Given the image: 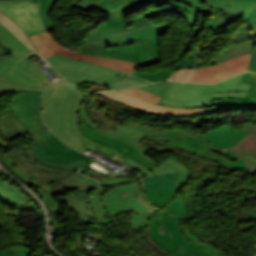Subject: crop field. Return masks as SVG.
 Returning a JSON list of instances; mask_svg holds the SVG:
<instances>
[{
    "label": "crop field",
    "instance_id": "crop-field-72",
    "mask_svg": "<svg viewBox=\"0 0 256 256\" xmlns=\"http://www.w3.org/2000/svg\"><path fill=\"white\" fill-rule=\"evenodd\" d=\"M255 41H256V38H255Z\"/></svg>",
    "mask_w": 256,
    "mask_h": 256
},
{
    "label": "crop field",
    "instance_id": "crop-field-20",
    "mask_svg": "<svg viewBox=\"0 0 256 256\" xmlns=\"http://www.w3.org/2000/svg\"><path fill=\"white\" fill-rule=\"evenodd\" d=\"M0 43L5 46L12 55L5 56L0 60V76L5 74L9 64L18 56L31 51L16 36H14L3 24L0 23Z\"/></svg>",
    "mask_w": 256,
    "mask_h": 256
},
{
    "label": "crop field",
    "instance_id": "crop-field-24",
    "mask_svg": "<svg viewBox=\"0 0 256 256\" xmlns=\"http://www.w3.org/2000/svg\"><path fill=\"white\" fill-rule=\"evenodd\" d=\"M0 200L8 206H19L28 204L27 196L19 189L4 181H0Z\"/></svg>",
    "mask_w": 256,
    "mask_h": 256
},
{
    "label": "crop field",
    "instance_id": "crop-field-51",
    "mask_svg": "<svg viewBox=\"0 0 256 256\" xmlns=\"http://www.w3.org/2000/svg\"><path fill=\"white\" fill-rule=\"evenodd\" d=\"M152 171L154 172L155 176L177 174V172L174 169H172L170 166L166 164L159 168L156 167Z\"/></svg>",
    "mask_w": 256,
    "mask_h": 256
},
{
    "label": "crop field",
    "instance_id": "crop-field-37",
    "mask_svg": "<svg viewBox=\"0 0 256 256\" xmlns=\"http://www.w3.org/2000/svg\"><path fill=\"white\" fill-rule=\"evenodd\" d=\"M0 21L4 23L9 29H11L27 45H29L31 48H33L36 51L32 43L30 42V40L27 38V36L24 34V32L21 30V28L18 26L16 22H14L12 19H10L8 16L4 15L1 12H0Z\"/></svg>",
    "mask_w": 256,
    "mask_h": 256
},
{
    "label": "crop field",
    "instance_id": "crop-field-14",
    "mask_svg": "<svg viewBox=\"0 0 256 256\" xmlns=\"http://www.w3.org/2000/svg\"><path fill=\"white\" fill-rule=\"evenodd\" d=\"M5 76L28 87H45L46 83L51 82L47 73L20 57L10 64Z\"/></svg>",
    "mask_w": 256,
    "mask_h": 256
},
{
    "label": "crop field",
    "instance_id": "crop-field-43",
    "mask_svg": "<svg viewBox=\"0 0 256 256\" xmlns=\"http://www.w3.org/2000/svg\"><path fill=\"white\" fill-rule=\"evenodd\" d=\"M211 11L213 12V16L211 17L210 20H212L214 22L222 23L226 26H228L229 24L234 23L240 19V18H237L227 12L219 11V10L212 9V8H211Z\"/></svg>",
    "mask_w": 256,
    "mask_h": 256
},
{
    "label": "crop field",
    "instance_id": "crop-field-3",
    "mask_svg": "<svg viewBox=\"0 0 256 256\" xmlns=\"http://www.w3.org/2000/svg\"><path fill=\"white\" fill-rule=\"evenodd\" d=\"M168 0H106L96 8L109 13V20L91 30L81 49H103L136 44L130 23L124 17L152 4L166 5Z\"/></svg>",
    "mask_w": 256,
    "mask_h": 256
},
{
    "label": "crop field",
    "instance_id": "crop-field-8",
    "mask_svg": "<svg viewBox=\"0 0 256 256\" xmlns=\"http://www.w3.org/2000/svg\"><path fill=\"white\" fill-rule=\"evenodd\" d=\"M31 148L35 157L53 167L80 168L88 160L87 155L67 147L52 132Z\"/></svg>",
    "mask_w": 256,
    "mask_h": 256
},
{
    "label": "crop field",
    "instance_id": "crop-field-56",
    "mask_svg": "<svg viewBox=\"0 0 256 256\" xmlns=\"http://www.w3.org/2000/svg\"><path fill=\"white\" fill-rule=\"evenodd\" d=\"M244 130L256 138V124L245 123Z\"/></svg>",
    "mask_w": 256,
    "mask_h": 256
},
{
    "label": "crop field",
    "instance_id": "crop-field-52",
    "mask_svg": "<svg viewBox=\"0 0 256 256\" xmlns=\"http://www.w3.org/2000/svg\"><path fill=\"white\" fill-rule=\"evenodd\" d=\"M242 81L255 84L250 97L256 98V73L246 72Z\"/></svg>",
    "mask_w": 256,
    "mask_h": 256
},
{
    "label": "crop field",
    "instance_id": "crop-field-53",
    "mask_svg": "<svg viewBox=\"0 0 256 256\" xmlns=\"http://www.w3.org/2000/svg\"><path fill=\"white\" fill-rule=\"evenodd\" d=\"M131 75L139 77V78H142V79H145V80H148V81H151V82H155V83L163 81L162 79L154 76L153 74H150V73H140L137 70L134 73H132Z\"/></svg>",
    "mask_w": 256,
    "mask_h": 256
},
{
    "label": "crop field",
    "instance_id": "crop-field-36",
    "mask_svg": "<svg viewBox=\"0 0 256 256\" xmlns=\"http://www.w3.org/2000/svg\"><path fill=\"white\" fill-rule=\"evenodd\" d=\"M172 11L183 15L188 21L190 26L194 25L197 19V16L199 14L197 11H195L191 7L185 4L177 3V2H174Z\"/></svg>",
    "mask_w": 256,
    "mask_h": 256
},
{
    "label": "crop field",
    "instance_id": "crop-field-33",
    "mask_svg": "<svg viewBox=\"0 0 256 256\" xmlns=\"http://www.w3.org/2000/svg\"><path fill=\"white\" fill-rule=\"evenodd\" d=\"M242 75H238L234 78H231L229 80L223 81L218 84H195V83H185V82H175L171 81L169 86H174V87H185V88H215L219 86H224V85H229L233 83H238L241 82Z\"/></svg>",
    "mask_w": 256,
    "mask_h": 256
},
{
    "label": "crop field",
    "instance_id": "crop-field-35",
    "mask_svg": "<svg viewBox=\"0 0 256 256\" xmlns=\"http://www.w3.org/2000/svg\"><path fill=\"white\" fill-rule=\"evenodd\" d=\"M45 88H28L8 81L4 76L0 77L1 92H30L44 90Z\"/></svg>",
    "mask_w": 256,
    "mask_h": 256
},
{
    "label": "crop field",
    "instance_id": "crop-field-65",
    "mask_svg": "<svg viewBox=\"0 0 256 256\" xmlns=\"http://www.w3.org/2000/svg\"><path fill=\"white\" fill-rule=\"evenodd\" d=\"M4 55H6V53H5L4 51H0V59H1Z\"/></svg>",
    "mask_w": 256,
    "mask_h": 256
},
{
    "label": "crop field",
    "instance_id": "crop-field-18",
    "mask_svg": "<svg viewBox=\"0 0 256 256\" xmlns=\"http://www.w3.org/2000/svg\"><path fill=\"white\" fill-rule=\"evenodd\" d=\"M80 124H81L82 134H84L85 136L129 156L130 158L145 165L150 170L159 164V163L155 162L154 160L150 159L147 155L138 152L137 150L133 149L132 147H130L122 142H119L117 140L111 139L109 137H106L104 135L94 132L93 130L89 129L82 122L81 119H80Z\"/></svg>",
    "mask_w": 256,
    "mask_h": 256
},
{
    "label": "crop field",
    "instance_id": "crop-field-34",
    "mask_svg": "<svg viewBox=\"0 0 256 256\" xmlns=\"http://www.w3.org/2000/svg\"><path fill=\"white\" fill-rule=\"evenodd\" d=\"M181 228L184 235L209 256H225L211 245L203 243L200 238L196 237L191 232L187 231L184 227L181 226Z\"/></svg>",
    "mask_w": 256,
    "mask_h": 256
},
{
    "label": "crop field",
    "instance_id": "crop-field-29",
    "mask_svg": "<svg viewBox=\"0 0 256 256\" xmlns=\"http://www.w3.org/2000/svg\"><path fill=\"white\" fill-rule=\"evenodd\" d=\"M210 7L217 8L223 11L230 12L241 19H245L246 16L249 15L251 10L253 9L252 7H247V6H242V5H237L221 0H208Z\"/></svg>",
    "mask_w": 256,
    "mask_h": 256
},
{
    "label": "crop field",
    "instance_id": "crop-field-31",
    "mask_svg": "<svg viewBox=\"0 0 256 256\" xmlns=\"http://www.w3.org/2000/svg\"><path fill=\"white\" fill-rule=\"evenodd\" d=\"M247 19H249L248 23L243 25L241 28H239L235 36L232 37L235 43L241 42L247 39H254V37H256V17L248 16L245 20Z\"/></svg>",
    "mask_w": 256,
    "mask_h": 256
},
{
    "label": "crop field",
    "instance_id": "crop-field-25",
    "mask_svg": "<svg viewBox=\"0 0 256 256\" xmlns=\"http://www.w3.org/2000/svg\"><path fill=\"white\" fill-rule=\"evenodd\" d=\"M41 93L42 91L30 92L17 102V105L19 106L21 112L29 120L36 121V119L40 118L41 116L38 105Z\"/></svg>",
    "mask_w": 256,
    "mask_h": 256
},
{
    "label": "crop field",
    "instance_id": "crop-field-4",
    "mask_svg": "<svg viewBox=\"0 0 256 256\" xmlns=\"http://www.w3.org/2000/svg\"><path fill=\"white\" fill-rule=\"evenodd\" d=\"M8 166L11 168L13 172H15L13 168V164L11 161H7ZM74 171V169H73ZM17 172V171H16ZM24 180H26L31 187L40 194L42 199L45 201L49 212L50 219L55 218V216H60L63 213L61 206L59 203L52 197L54 195L66 193L64 189L68 190H76L75 194L67 195L63 197L57 198L61 202H67L68 207L70 209H74L76 214L78 215L81 222L86 224L92 223L89 211L86 206V196L91 193L95 188L99 186L98 182L94 179L86 177L84 175H77L74 172L66 174L62 179V186H58L57 189H53V186L44 187L38 182L22 175L17 172Z\"/></svg>",
    "mask_w": 256,
    "mask_h": 256
},
{
    "label": "crop field",
    "instance_id": "crop-field-42",
    "mask_svg": "<svg viewBox=\"0 0 256 256\" xmlns=\"http://www.w3.org/2000/svg\"><path fill=\"white\" fill-rule=\"evenodd\" d=\"M27 93H20L18 94L17 96H15L13 98V100L11 101V104H10V108L11 110L15 113V115L19 118V120L24 124L26 125L30 130L34 129L37 125L36 122H33V121H29L27 120L23 114L20 112L18 106L16 105V102L21 98L23 97L24 95H26Z\"/></svg>",
    "mask_w": 256,
    "mask_h": 256
},
{
    "label": "crop field",
    "instance_id": "crop-field-47",
    "mask_svg": "<svg viewBox=\"0 0 256 256\" xmlns=\"http://www.w3.org/2000/svg\"><path fill=\"white\" fill-rule=\"evenodd\" d=\"M31 41L34 43L36 46L37 50L39 51L40 55L43 56L44 58H48L51 55L55 54L54 52L50 51L38 38L37 35L30 36L29 37Z\"/></svg>",
    "mask_w": 256,
    "mask_h": 256
},
{
    "label": "crop field",
    "instance_id": "crop-field-62",
    "mask_svg": "<svg viewBox=\"0 0 256 256\" xmlns=\"http://www.w3.org/2000/svg\"><path fill=\"white\" fill-rule=\"evenodd\" d=\"M200 13H202V14H210L207 3H204V4L201 6V8H200Z\"/></svg>",
    "mask_w": 256,
    "mask_h": 256
},
{
    "label": "crop field",
    "instance_id": "crop-field-27",
    "mask_svg": "<svg viewBox=\"0 0 256 256\" xmlns=\"http://www.w3.org/2000/svg\"><path fill=\"white\" fill-rule=\"evenodd\" d=\"M252 47H253V40H247L241 43H237L232 47H230V49L224 50L220 54V56L214 59L213 61H211L208 66H211L212 64L220 63L222 61L228 60L230 58H233L235 56H238L247 52H252ZM201 67H205V65Z\"/></svg>",
    "mask_w": 256,
    "mask_h": 256
},
{
    "label": "crop field",
    "instance_id": "crop-field-21",
    "mask_svg": "<svg viewBox=\"0 0 256 256\" xmlns=\"http://www.w3.org/2000/svg\"><path fill=\"white\" fill-rule=\"evenodd\" d=\"M246 132L244 130L232 129L231 125H224L216 130H210L206 134H197L201 138L218 145L222 148L229 149L234 145Z\"/></svg>",
    "mask_w": 256,
    "mask_h": 256
},
{
    "label": "crop field",
    "instance_id": "crop-field-59",
    "mask_svg": "<svg viewBox=\"0 0 256 256\" xmlns=\"http://www.w3.org/2000/svg\"><path fill=\"white\" fill-rule=\"evenodd\" d=\"M88 86H89L88 90L90 93H93L96 91H105V89L102 86L97 84H89Z\"/></svg>",
    "mask_w": 256,
    "mask_h": 256
},
{
    "label": "crop field",
    "instance_id": "crop-field-7",
    "mask_svg": "<svg viewBox=\"0 0 256 256\" xmlns=\"http://www.w3.org/2000/svg\"><path fill=\"white\" fill-rule=\"evenodd\" d=\"M47 61L72 84L96 82L108 86L113 81L127 75L105 67L65 58L58 54L48 58Z\"/></svg>",
    "mask_w": 256,
    "mask_h": 256
},
{
    "label": "crop field",
    "instance_id": "crop-field-44",
    "mask_svg": "<svg viewBox=\"0 0 256 256\" xmlns=\"http://www.w3.org/2000/svg\"><path fill=\"white\" fill-rule=\"evenodd\" d=\"M169 256H208L204 252H202L197 246H195L192 242L181 247L179 250L174 252Z\"/></svg>",
    "mask_w": 256,
    "mask_h": 256
},
{
    "label": "crop field",
    "instance_id": "crop-field-61",
    "mask_svg": "<svg viewBox=\"0 0 256 256\" xmlns=\"http://www.w3.org/2000/svg\"><path fill=\"white\" fill-rule=\"evenodd\" d=\"M210 27H211L214 31H218V30L224 28L225 26L210 21Z\"/></svg>",
    "mask_w": 256,
    "mask_h": 256
},
{
    "label": "crop field",
    "instance_id": "crop-field-11",
    "mask_svg": "<svg viewBox=\"0 0 256 256\" xmlns=\"http://www.w3.org/2000/svg\"><path fill=\"white\" fill-rule=\"evenodd\" d=\"M0 11L15 20L26 35L44 32L39 0H3Z\"/></svg>",
    "mask_w": 256,
    "mask_h": 256
},
{
    "label": "crop field",
    "instance_id": "crop-field-40",
    "mask_svg": "<svg viewBox=\"0 0 256 256\" xmlns=\"http://www.w3.org/2000/svg\"><path fill=\"white\" fill-rule=\"evenodd\" d=\"M205 157L211 158V159L217 161L218 163H220L221 165L225 166L228 169H243V168H245L246 170H248L247 166L240 158L235 163H232V162H229V161L223 159L222 156H220L214 152H210V151H208V153L206 154Z\"/></svg>",
    "mask_w": 256,
    "mask_h": 256
},
{
    "label": "crop field",
    "instance_id": "crop-field-63",
    "mask_svg": "<svg viewBox=\"0 0 256 256\" xmlns=\"http://www.w3.org/2000/svg\"><path fill=\"white\" fill-rule=\"evenodd\" d=\"M35 55H38V54H36V53H34L33 51H31V52H29V53H27V54H25V55H23V56H21V57H23V58H25V59H28V58H30V57H32V56H35Z\"/></svg>",
    "mask_w": 256,
    "mask_h": 256
},
{
    "label": "crop field",
    "instance_id": "crop-field-32",
    "mask_svg": "<svg viewBox=\"0 0 256 256\" xmlns=\"http://www.w3.org/2000/svg\"><path fill=\"white\" fill-rule=\"evenodd\" d=\"M82 137L84 139V144L87 149H97L101 152H104L106 157L113 159L115 161L123 162L127 158V156L122 155V154H120L108 147H105L99 143H96V142L90 140L89 138L85 137L84 135H82Z\"/></svg>",
    "mask_w": 256,
    "mask_h": 256
},
{
    "label": "crop field",
    "instance_id": "crop-field-48",
    "mask_svg": "<svg viewBox=\"0 0 256 256\" xmlns=\"http://www.w3.org/2000/svg\"><path fill=\"white\" fill-rule=\"evenodd\" d=\"M102 1L104 0H75L72 2V6L79 7L88 12Z\"/></svg>",
    "mask_w": 256,
    "mask_h": 256
},
{
    "label": "crop field",
    "instance_id": "crop-field-12",
    "mask_svg": "<svg viewBox=\"0 0 256 256\" xmlns=\"http://www.w3.org/2000/svg\"><path fill=\"white\" fill-rule=\"evenodd\" d=\"M97 94H100L108 99L115 100L121 104L144 111L147 114L159 117H188L215 112V109H183L158 106L120 91L103 92Z\"/></svg>",
    "mask_w": 256,
    "mask_h": 256
},
{
    "label": "crop field",
    "instance_id": "crop-field-73",
    "mask_svg": "<svg viewBox=\"0 0 256 256\" xmlns=\"http://www.w3.org/2000/svg\"><path fill=\"white\" fill-rule=\"evenodd\" d=\"M1 50V49H0Z\"/></svg>",
    "mask_w": 256,
    "mask_h": 256
},
{
    "label": "crop field",
    "instance_id": "crop-field-38",
    "mask_svg": "<svg viewBox=\"0 0 256 256\" xmlns=\"http://www.w3.org/2000/svg\"><path fill=\"white\" fill-rule=\"evenodd\" d=\"M55 1L56 0H40V11L46 31H51L55 29L53 23L48 16Z\"/></svg>",
    "mask_w": 256,
    "mask_h": 256
},
{
    "label": "crop field",
    "instance_id": "crop-field-23",
    "mask_svg": "<svg viewBox=\"0 0 256 256\" xmlns=\"http://www.w3.org/2000/svg\"><path fill=\"white\" fill-rule=\"evenodd\" d=\"M229 150L240 156L249 169H256V139L249 134H245Z\"/></svg>",
    "mask_w": 256,
    "mask_h": 256
},
{
    "label": "crop field",
    "instance_id": "crop-field-55",
    "mask_svg": "<svg viewBox=\"0 0 256 256\" xmlns=\"http://www.w3.org/2000/svg\"><path fill=\"white\" fill-rule=\"evenodd\" d=\"M242 5H247V6H252L256 8V0H226ZM251 16H256V9H253L252 12L250 13Z\"/></svg>",
    "mask_w": 256,
    "mask_h": 256
},
{
    "label": "crop field",
    "instance_id": "crop-field-9",
    "mask_svg": "<svg viewBox=\"0 0 256 256\" xmlns=\"http://www.w3.org/2000/svg\"><path fill=\"white\" fill-rule=\"evenodd\" d=\"M250 58L248 53L211 67L178 70L170 80L216 83L246 71Z\"/></svg>",
    "mask_w": 256,
    "mask_h": 256
},
{
    "label": "crop field",
    "instance_id": "crop-field-17",
    "mask_svg": "<svg viewBox=\"0 0 256 256\" xmlns=\"http://www.w3.org/2000/svg\"><path fill=\"white\" fill-rule=\"evenodd\" d=\"M10 156L16 157L19 162H16L17 168L23 169L25 172L37 177L47 183L55 174L58 168H46L40 166L43 164L36 159L31 152L30 147H20L9 152Z\"/></svg>",
    "mask_w": 256,
    "mask_h": 256
},
{
    "label": "crop field",
    "instance_id": "crop-field-46",
    "mask_svg": "<svg viewBox=\"0 0 256 256\" xmlns=\"http://www.w3.org/2000/svg\"><path fill=\"white\" fill-rule=\"evenodd\" d=\"M198 47H194L192 52L189 54V56L186 58L185 61L181 62L178 66V68H186L194 66L200 59L201 55L197 51Z\"/></svg>",
    "mask_w": 256,
    "mask_h": 256
},
{
    "label": "crop field",
    "instance_id": "crop-field-64",
    "mask_svg": "<svg viewBox=\"0 0 256 256\" xmlns=\"http://www.w3.org/2000/svg\"><path fill=\"white\" fill-rule=\"evenodd\" d=\"M136 239H137L140 243L146 244L145 241L142 240L141 236L137 237Z\"/></svg>",
    "mask_w": 256,
    "mask_h": 256
},
{
    "label": "crop field",
    "instance_id": "crop-field-5",
    "mask_svg": "<svg viewBox=\"0 0 256 256\" xmlns=\"http://www.w3.org/2000/svg\"><path fill=\"white\" fill-rule=\"evenodd\" d=\"M253 85L238 83L215 89H184L168 87L159 105L195 108L214 106L213 99L248 100Z\"/></svg>",
    "mask_w": 256,
    "mask_h": 256
},
{
    "label": "crop field",
    "instance_id": "crop-field-69",
    "mask_svg": "<svg viewBox=\"0 0 256 256\" xmlns=\"http://www.w3.org/2000/svg\"><path fill=\"white\" fill-rule=\"evenodd\" d=\"M253 49H256V42H254V48Z\"/></svg>",
    "mask_w": 256,
    "mask_h": 256
},
{
    "label": "crop field",
    "instance_id": "crop-field-68",
    "mask_svg": "<svg viewBox=\"0 0 256 256\" xmlns=\"http://www.w3.org/2000/svg\"><path fill=\"white\" fill-rule=\"evenodd\" d=\"M92 162H94L93 160H91V163ZM90 164V163H89ZM97 164V163H96ZM99 165V164H98ZM90 167V166H89ZM91 168V167H90ZM93 169V168H92ZM93 170H95V169H93ZM106 170V169H105ZM95 171H97V170H95ZM97 172H100V171H97ZM100 173H103V172H100ZM103 174H105V173H103ZM107 175V174H106Z\"/></svg>",
    "mask_w": 256,
    "mask_h": 256
},
{
    "label": "crop field",
    "instance_id": "crop-field-66",
    "mask_svg": "<svg viewBox=\"0 0 256 256\" xmlns=\"http://www.w3.org/2000/svg\"><path fill=\"white\" fill-rule=\"evenodd\" d=\"M0 256H6V252L0 251Z\"/></svg>",
    "mask_w": 256,
    "mask_h": 256
},
{
    "label": "crop field",
    "instance_id": "crop-field-10",
    "mask_svg": "<svg viewBox=\"0 0 256 256\" xmlns=\"http://www.w3.org/2000/svg\"><path fill=\"white\" fill-rule=\"evenodd\" d=\"M149 225L152 239L171 252L191 242L182 234L176 219L166 210L152 216Z\"/></svg>",
    "mask_w": 256,
    "mask_h": 256
},
{
    "label": "crop field",
    "instance_id": "crop-field-49",
    "mask_svg": "<svg viewBox=\"0 0 256 256\" xmlns=\"http://www.w3.org/2000/svg\"><path fill=\"white\" fill-rule=\"evenodd\" d=\"M169 81H165V82H161V83H157L151 86H145V87H139L141 89H144L146 91H149L153 94L162 96L164 90L166 89L167 85H168Z\"/></svg>",
    "mask_w": 256,
    "mask_h": 256
},
{
    "label": "crop field",
    "instance_id": "crop-field-50",
    "mask_svg": "<svg viewBox=\"0 0 256 256\" xmlns=\"http://www.w3.org/2000/svg\"><path fill=\"white\" fill-rule=\"evenodd\" d=\"M124 163H126V164H128V165L134 167V168L137 169V170H140L141 172H143L144 174H146L148 177L154 175L153 172H151L148 168L144 167L143 165H141V164H139V163H137V162H135V161H133V160H131V159H129V158H127V159L124 161ZM134 168H133V169H134Z\"/></svg>",
    "mask_w": 256,
    "mask_h": 256
},
{
    "label": "crop field",
    "instance_id": "crop-field-28",
    "mask_svg": "<svg viewBox=\"0 0 256 256\" xmlns=\"http://www.w3.org/2000/svg\"><path fill=\"white\" fill-rule=\"evenodd\" d=\"M216 111L223 110H256V99L242 100H214Z\"/></svg>",
    "mask_w": 256,
    "mask_h": 256
},
{
    "label": "crop field",
    "instance_id": "crop-field-58",
    "mask_svg": "<svg viewBox=\"0 0 256 256\" xmlns=\"http://www.w3.org/2000/svg\"><path fill=\"white\" fill-rule=\"evenodd\" d=\"M248 70L256 72V50H253L252 59L250 61Z\"/></svg>",
    "mask_w": 256,
    "mask_h": 256
},
{
    "label": "crop field",
    "instance_id": "crop-field-67",
    "mask_svg": "<svg viewBox=\"0 0 256 256\" xmlns=\"http://www.w3.org/2000/svg\"><path fill=\"white\" fill-rule=\"evenodd\" d=\"M0 48L2 49V50H4V51H8L5 47H3L1 44H0Z\"/></svg>",
    "mask_w": 256,
    "mask_h": 256
},
{
    "label": "crop field",
    "instance_id": "crop-field-41",
    "mask_svg": "<svg viewBox=\"0 0 256 256\" xmlns=\"http://www.w3.org/2000/svg\"><path fill=\"white\" fill-rule=\"evenodd\" d=\"M172 213H174L179 219L188 218L185 206L178 194L169 202L166 206Z\"/></svg>",
    "mask_w": 256,
    "mask_h": 256
},
{
    "label": "crop field",
    "instance_id": "crop-field-15",
    "mask_svg": "<svg viewBox=\"0 0 256 256\" xmlns=\"http://www.w3.org/2000/svg\"><path fill=\"white\" fill-rule=\"evenodd\" d=\"M173 1L185 3L198 11L200 4L205 0H169L168 5L160 7L158 11L146 14L138 18L136 21H133L131 25L135 32L138 43L150 40L156 36L166 33L170 23L154 27V25H152L145 18L171 11Z\"/></svg>",
    "mask_w": 256,
    "mask_h": 256
},
{
    "label": "crop field",
    "instance_id": "crop-field-26",
    "mask_svg": "<svg viewBox=\"0 0 256 256\" xmlns=\"http://www.w3.org/2000/svg\"><path fill=\"white\" fill-rule=\"evenodd\" d=\"M140 46L142 48L141 67L155 65L160 62L158 37L140 43Z\"/></svg>",
    "mask_w": 256,
    "mask_h": 256
},
{
    "label": "crop field",
    "instance_id": "crop-field-39",
    "mask_svg": "<svg viewBox=\"0 0 256 256\" xmlns=\"http://www.w3.org/2000/svg\"><path fill=\"white\" fill-rule=\"evenodd\" d=\"M145 84H150V83L128 75V76L112 83L111 85H109V87L114 90H119V89H124V88L139 86V85H145Z\"/></svg>",
    "mask_w": 256,
    "mask_h": 256
},
{
    "label": "crop field",
    "instance_id": "crop-field-71",
    "mask_svg": "<svg viewBox=\"0 0 256 256\" xmlns=\"http://www.w3.org/2000/svg\"><path fill=\"white\" fill-rule=\"evenodd\" d=\"M138 2L142 1V0H137Z\"/></svg>",
    "mask_w": 256,
    "mask_h": 256
},
{
    "label": "crop field",
    "instance_id": "crop-field-30",
    "mask_svg": "<svg viewBox=\"0 0 256 256\" xmlns=\"http://www.w3.org/2000/svg\"><path fill=\"white\" fill-rule=\"evenodd\" d=\"M165 163L170 165L178 172L177 181L175 185L176 193H178L183 185L188 184L189 169L183 163L171 158L170 156L167 159H165L160 165H158V167Z\"/></svg>",
    "mask_w": 256,
    "mask_h": 256
},
{
    "label": "crop field",
    "instance_id": "crop-field-6",
    "mask_svg": "<svg viewBox=\"0 0 256 256\" xmlns=\"http://www.w3.org/2000/svg\"><path fill=\"white\" fill-rule=\"evenodd\" d=\"M102 201L112 218L129 210L138 212L139 215L130 219L132 228L137 230L148 224L152 215L161 211L158 207L145 200L140 190L139 181L116 187L113 191L109 190Z\"/></svg>",
    "mask_w": 256,
    "mask_h": 256
},
{
    "label": "crop field",
    "instance_id": "crop-field-57",
    "mask_svg": "<svg viewBox=\"0 0 256 256\" xmlns=\"http://www.w3.org/2000/svg\"><path fill=\"white\" fill-rule=\"evenodd\" d=\"M173 71H170L168 69L159 71L157 73H154L155 75L159 76L160 78L166 80L168 78H170V76L172 75Z\"/></svg>",
    "mask_w": 256,
    "mask_h": 256
},
{
    "label": "crop field",
    "instance_id": "crop-field-13",
    "mask_svg": "<svg viewBox=\"0 0 256 256\" xmlns=\"http://www.w3.org/2000/svg\"><path fill=\"white\" fill-rule=\"evenodd\" d=\"M38 36L50 50L65 57L105 66V67L118 70L127 74H130L131 72H133L136 69V67L139 65L136 63H131L123 60L99 58L91 55L76 53L56 43L49 32L38 34Z\"/></svg>",
    "mask_w": 256,
    "mask_h": 256
},
{
    "label": "crop field",
    "instance_id": "crop-field-54",
    "mask_svg": "<svg viewBox=\"0 0 256 256\" xmlns=\"http://www.w3.org/2000/svg\"><path fill=\"white\" fill-rule=\"evenodd\" d=\"M7 251V256H29L30 251L27 248L22 249H9Z\"/></svg>",
    "mask_w": 256,
    "mask_h": 256
},
{
    "label": "crop field",
    "instance_id": "crop-field-60",
    "mask_svg": "<svg viewBox=\"0 0 256 256\" xmlns=\"http://www.w3.org/2000/svg\"><path fill=\"white\" fill-rule=\"evenodd\" d=\"M143 237L146 239V241H147L149 244H151V245L155 248L156 242L153 241V240L150 238L149 232L144 231ZM155 249H156V248H155ZM157 250H158V249H157ZM158 251H160V250H158ZM160 252L165 253L164 251H160Z\"/></svg>",
    "mask_w": 256,
    "mask_h": 256
},
{
    "label": "crop field",
    "instance_id": "crop-field-19",
    "mask_svg": "<svg viewBox=\"0 0 256 256\" xmlns=\"http://www.w3.org/2000/svg\"><path fill=\"white\" fill-rule=\"evenodd\" d=\"M175 180L176 175L157 178L153 176L144 179L147 198L165 207L176 195L174 190Z\"/></svg>",
    "mask_w": 256,
    "mask_h": 256
},
{
    "label": "crop field",
    "instance_id": "crop-field-2",
    "mask_svg": "<svg viewBox=\"0 0 256 256\" xmlns=\"http://www.w3.org/2000/svg\"><path fill=\"white\" fill-rule=\"evenodd\" d=\"M95 100L87 97L81 111H80V118L84 121V123L92 128L94 131L99 132L101 134H104L106 136L112 137L114 139H117L119 141H122L135 149L145 153L149 149L142 146L138 142H140L145 136L146 133H149L150 135H162L164 137H167L171 140V142H168L166 145H163L164 148L173 151L172 149L174 147L182 148L192 154L203 156L206 154V152L209 149L215 150L221 154H224L228 156L231 159L237 160L238 157L234 154L230 153L229 151H226L224 149H221L201 138L198 136H194L190 133L178 130V129H172L167 130L163 132H157L154 130L146 129L144 126H136V125H118L116 128L118 130L116 131H109V130H103L102 128L99 129L87 116V113L85 112L84 107H90L92 104H95ZM92 111L96 112L92 106ZM108 125V124H107ZM111 126V125H108ZM108 128V127H107ZM147 137V136H146ZM149 138V137H148ZM152 139V138H151ZM157 141H165L162 139H155ZM161 145V144H160Z\"/></svg>",
    "mask_w": 256,
    "mask_h": 256
},
{
    "label": "crop field",
    "instance_id": "crop-field-22",
    "mask_svg": "<svg viewBox=\"0 0 256 256\" xmlns=\"http://www.w3.org/2000/svg\"><path fill=\"white\" fill-rule=\"evenodd\" d=\"M79 52L100 57L124 59L137 63H140L141 60V48L139 44L103 50H80Z\"/></svg>",
    "mask_w": 256,
    "mask_h": 256
},
{
    "label": "crop field",
    "instance_id": "crop-field-1",
    "mask_svg": "<svg viewBox=\"0 0 256 256\" xmlns=\"http://www.w3.org/2000/svg\"><path fill=\"white\" fill-rule=\"evenodd\" d=\"M85 94L65 80L48 85L41 99L48 127L68 145L85 152L78 128L77 111Z\"/></svg>",
    "mask_w": 256,
    "mask_h": 256
},
{
    "label": "crop field",
    "instance_id": "crop-field-16",
    "mask_svg": "<svg viewBox=\"0 0 256 256\" xmlns=\"http://www.w3.org/2000/svg\"><path fill=\"white\" fill-rule=\"evenodd\" d=\"M3 111L6 113L7 116L0 118V131H3L4 133V137H0V145L3 142L16 139V137H19L27 132L30 133L31 137L35 141L46 137L51 132L45 131L44 128L46 127L42 119L37 120V128L33 131H30L18 120V118L13 114V112L9 108L4 109Z\"/></svg>",
    "mask_w": 256,
    "mask_h": 256
},
{
    "label": "crop field",
    "instance_id": "crop-field-45",
    "mask_svg": "<svg viewBox=\"0 0 256 256\" xmlns=\"http://www.w3.org/2000/svg\"><path fill=\"white\" fill-rule=\"evenodd\" d=\"M121 91H123L125 93H128V94H131V95H134L136 97L145 99L147 101L153 102L155 104H157L159 99L161 98L159 96L153 95L151 93H148V92H146L144 90H141V89H138V88L121 90Z\"/></svg>",
    "mask_w": 256,
    "mask_h": 256
},
{
    "label": "crop field",
    "instance_id": "crop-field-70",
    "mask_svg": "<svg viewBox=\"0 0 256 256\" xmlns=\"http://www.w3.org/2000/svg\"><path fill=\"white\" fill-rule=\"evenodd\" d=\"M2 94H4V93H1V92H0V96H1Z\"/></svg>",
    "mask_w": 256,
    "mask_h": 256
}]
</instances>
